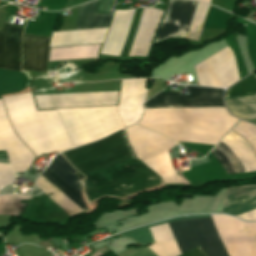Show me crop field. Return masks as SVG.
Returning <instances> with one entry per match:
<instances>
[{
	"instance_id": "obj_15",
	"label": "crop field",
	"mask_w": 256,
	"mask_h": 256,
	"mask_svg": "<svg viewBox=\"0 0 256 256\" xmlns=\"http://www.w3.org/2000/svg\"><path fill=\"white\" fill-rule=\"evenodd\" d=\"M22 30L4 22L1 30L0 68L20 71Z\"/></svg>"
},
{
	"instance_id": "obj_2",
	"label": "crop field",
	"mask_w": 256,
	"mask_h": 256,
	"mask_svg": "<svg viewBox=\"0 0 256 256\" xmlns=\"http://www.w3.org/2000/svg\"><path fill=\"white\" fill-rule=\"evenodd\" d=\"M16 134L36 156L93 142L124 128L116 106L36 111L31 92L2 97Z\"/></svg>"
},
{
	"instance_id": "obj_5",
	"label": "crop field",
	"mask_w": 256,
	"mask_h": 256,
	"mask_svg": "<svg viewBox=\"0 0 256 256\" xmlns=\"http://www.w3.org/2000/svg\"><path fill=\"white\" fill-rule=\"evenodd\" d=\"M163 11L142 10L129 56H146ZM133 10L116 11L105 45L100 54L120 56L130 26Z\"/></svg>"
},
{
	"instance_id": "obj_10",
	"label": "crop field",
	"mask_w": 256,
	"mask_h": 256,
	"mask_svg": "<svg viewBox=\"0 0 256 256\" xmlns=\"http://www.w3.org/2000/svg\"><path fill=\"white\" fill-rule=\"evenodd\" d=\"M189 95L158 93L145 102L144 108L224 106L223 91L216 88L186 86Z\"/></svg>"
},
{
	"instance_id": "obj_7",
	"label": "crop field",
	"mask_w": 256,
	"mask_h": 256,
	"mask_svg": "<svg viewBox=\"0 0 256 256\" xmlns=\"http://www.w3.org/2000/svg\"><path fill=\"white\" fill-rule=\"evenodd\" d=\"M195 3L194 1L188 0H169L154 43L171 38H184ZM208 7V5L200 2L196 3L185 38L199 39Z\"/></svg>"
},
{
	"instance_id": "obj_9",
	"label": "crop field",
	"mask_w": 256,
	"mask_h": 256,
	"mask_svg": "<svg viewBox=\"0 0 256 256\" xmlns=\"http://www.w3.org/2000/svg\"><path fill=\"white\" fill-rule=\"evenodd\" d=\"M247 172L256 171V158L251 147L232 131L223 139ZM221 141L211 152L227 174L246 172L234 153Z\"/></svg>"
},
{
	"instance_id": "obj_13",
	"label": "crop field",
	"mask_w": 256,
	"mask_h": 256,
	"mask_svg": "<svg viewBox=\"0 0 256 256\" xmlns=\"http://www.w3.org/2000/svg\"><path fill=\"white\" fill-rule=\"evenodd\" d=\"M0 150H5L14 172L26 171L35 156L25 147L10 127L0 100Z\"/></svg>"
},
{
	"instance_id": "obj_20",
	"label": "crop field",
	"mask_w": 256,
	"mask_h": 256,
	"mask_svg": "<svg viewBox=\"0 0 256 256\" xmlns=\"http://www.w3.org/2000/svg\"><path fill=\"white\" fill-rule=\"evenodd\" d=\"M232 131L243 138L256 155V126L240 121Z\"/></svg>"
},
{
	"instance_id": "obj_14",
	"label": "crop field",
	"mask_w": 256,
	"mask_h": 256,
	"mask_svg": "<svg viewBox=\"0 0 256 256\" xmlns=\"http://www.w3.org/2000/svg\"><path fill=\"white\" fill-rule=\"evenodd\" d=\"M50 38L34 36L23 33L22 51L23 64L22 70H33L45 72Z\"/></svg>"
},
{
	"instance_id": "obj_12",
	"label": "crop field",
	"mask_w": 256,
	"mask_h": 256,
	"mask_svg": "<svg viewBox=\"0 0 256 256\" xmlns=\"http://www.w3.org/2000/svg\"><path fill=\"white\" fill-rule=\"evenodd\" d=\"M118 91L34 96L38 109L115 104Z\"/></svg>"
},
{
	"instance_id": "obj_6",
	"label": "crop field",
	"mask_w": 256,
	"mask_h": 256,
	"mask_svg": "<svg viewBox=\"0 0 256 256\" xmlns=\"http://www.w3.org/2000/svg\"><path fill=\"white\" fill-rule=\"evenodd\" d=\"M132 150L140 160L166 152L175 143L173 140L138 125L125 129ZM164 183H182L172 168L168 152L142 160Z\"/></svg>"
},
{
	"instance_id": "obj_25",
	"label": "crop field",
	"mask_w": 256,
	"mask_h": 256,
	"mask_svg": "<svg viewBox=\"0 0 256 256\" xmlns=\"http://www.w3.org/2000/svg\"><path fill=\"white\" fill-rule=\"evenodd\" d=\"M203 2H207V3H210V0H201Z\"/></svg>"
},
{
	"instance_id": "obj_22",
	"label": "crop field",
	"mask_w": 256,
	"mask_h": 256,
	"mask_svg": "<svg viewBox=\"0 0 256 256\" xmlns=\"http://www.w3.org/2000/svg\"><path fill=\"white\" fill-rule=\"evenodd\" d=\"M116 256H156L148 248H129Z\"/></svg>"
},
{
	"instance_id": "obj_4",
	"label": "crop field",
	"mask_w": 256,
	"mask_h": 256,
	"mask_svg": "<svg viewBox=\"0 0 256 256\" xmlns=\"http://www.w3.org/2000/svg\"><path fill=\"white\" fill-rule=\"evenodd\" d=\"M201 217L211 216L196 215L173 218L123 232L119 235L127 236L142 244L154 243L149 227L180 219ZM168 224L182 254L200 246L207 256H227L221 246L223 243L211 218L187 219Z\"/></svg>"
},
{
	"instance_id": "obj_19",
	"label": "crop field",
	"mask_w": 256,
	"mask_h": 256,
	"mask_svg": "<svg viewBox=\"0 0 256 256\" xmlns=\"http://www.w3.org/2000/svg\"><path fill=\"white\" fill-rule=\"evenodd\" d=\"M256 93V76L253 73L225 92V98Z\"/></svg>"
},
{
	"instance_id": "obj_21",
	"label": "crop field",
	"mask_w": 256,
	"mask_h": 256,
	"mask_svg": "<svg viewBox=\"0 0 256 256\" xmlns=\"http://www.w3.org/2000/svg\"><path fill=\"white\" fill-rule=\"evenodd\" d=\"M14 176L9 165L0 164V190L10 184Z\"/></svg>"
},
{
	"instance_id": "obj_1",
	"label": "crop field",
	"mask_w": 256,
	"mask_h": 256,
	"mask_svg": "<svg viewBox=\"0 0 256 256\" xmlns=\"http://www.w3.org/2000/svg\"><path fill=\"white\" fill-rule=\"evenodd\" d=\"M125 130L89 145L62 153L69 163L127 144ZM130 149L129 144L71 163L76 168L84 164ZM43 173L49 182L85 211L79 192V178L74 169L59 155ZM87 177L85 192L88 202L104 196L122 197L163 185L161 178L132 150L76 168Z\"/></svg>"
},
{
	"instance_id": "obj_17",
	"label": "crop field",
	"mask_w": 256,
	"mask_h": 256,
	"mask_svg": "<svg viewBox=\"0 0 256 256\" xmlns=\"http://www.w3.org/2000/svg\"><path fill=\"white\" fill-rule=\"evenodd\" d=\"M227 109L244 120L256 119V94L225 99Z\"/></svg>"
},
{
	"instance_id": "obj_16",
	"label": "crop field",
	"mask_w": 256,
	"mask_h": 256,
	"mask_svg": "<svg viewBox=\"0 0 256 256\" xmlns=\"http://www.w3.org/2000/svg\"><path fill=\"white\" fill-rule=\"evenodd\" d=\"M256 208V185L227 187L221 212L239 215Z\"/></svg>"
},
{
	"instance_id": "obj_18",
	"label": "crop field",
	"mask_w": 256,
	"mask_h": 256,
	"mask_svg": "<svg viewBox=\"0 0 256 256\" xmlns=\"http://www.w3.org/2000/svg\"><path fill=\"white\" fill-rule=\"evenodd\" d=\"M100 45L51 49L50 60H72L97 57Z\"/></svg>"
},
{
	"instance_id": "obj_11",
	"label": "crop field",
	"mask_w": 256,
	"mask_h": 256,
	"mask_svg": "<svg viewBox=\"0 0 256 256\" xmlns=\"http://www.w3.org/2000/svg\"><path fill=\"white\" fill-rule=\"evenodd\" d=\"M45 194H47L55 203H57L71 217L83 212L69 198L55 188L41 175L36 184ZM27 195H2L0 196V214L16 216L31 199Z\"/></svg>"
},
{
	"instance_id": "obj_24",
	"label": "crop field",
	"mask_w": 256,
	"mask_h": 256,
	"mask_svg": "<svg viewBox=\"0 0 256 256\" xmlns=\"http://www.w3.org/2000/svg\"><path fill=\"white\" fill-rule=\"evenodd\" d=\"M180 256H206L204 254V252L200 249V247L192 250V251H189L183 255H180Z\"/></svg>"
},
{
	"instance_id": "obj_23",
	"label": "crop field",
	"mask_w": 256,
	"mask_h": 256,
	"mask_svg": "<svg viewBox=\"0 0 256 256\" xmlns=\"http://www.w3.org/2000/svg\"><path fill=\"white\" fill-rule=\"evenodd\" d=\"M236 217H239L245 221H256V210L244 213Z\"/></svg>"
},
{
	"instance_id": "obj_3",
	"label": "crop field",
	"mask_w": 256,
	"mask_h": 256,
	"mask_svg": "<svg viewBox=\"0 0 256 256\" xmlns=\"http://www.w3.org/2000/svg\"><path fill=\"white\" fill-rule=\"evenodd\" d=\"M144 110L138 124L183 142L215 145L238 121L225 107Z\"/></svg>"
},
{
	"instance_id": "obj_8",
	"label": "crop field",
	"mask_w": 256,
	"mask_h": 256,
	"mask_svg": "<svg viewBox=\"0 0 256 256\" xmlns=\"http://www.w3.org/2000/svg\"><path fill=\"white\" fill-rule=\"evenodd\" d=\"M96 2L80 7L74 30L90 29ZM111 16L95 13L91 29L108 27ZM107 29L53 32L50 47L102 43Z\"/></svg>"
}]
</instances>
